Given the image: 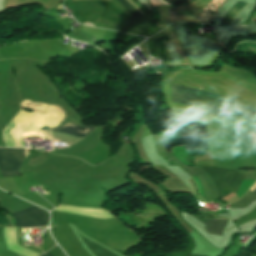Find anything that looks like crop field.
<instances>
[{"mask_svg": "<svg viewBox=\"0 0 256 256\" xmlns=\"http://www.w3.org/2000/svg\"><path fill=\"white\" fill-rule=\"evenodd\" d=\"M247 171H232L227 170L223 182L219 188V197H224L223 191L229 190L236 193L237 189L241 185Z\"/></svg>", "mask_w": 256, "mask_h": 256, "instance_id": "f4fd0767", "label": "crop field"}, {"mask_svg": "<svg viewBox=\"0 0 256 256\" xmlns=\"http://www.w3.org/2000/svg\"><path fill=\"white\" fill-rule=\"evenodd\" d=\"M247 3L238 1L235 3L226 13L222 23L219 26L223 25H231L236 15L239 13V11L246 5Z\"/></svg>", "mask_w": 256, "mask_h": 256, "instance_id": "dd49c442", "label": "crop field"}, {"mask_svg": "<svg viewBox=\"0 0 256 256\" xmlns=\"http://www.w3.org/2000/svg\"><path fill=\"white\" fill-rule=\"evenodd\" d=\"M49 130H54L58 132L68 133L74 136H78L83 138L90 131L93 130L94 127H82L79 125H74L70 122L62 120L56 117L49 125ZM38 133H42L48 136L49 139H53L54 141L66 145H72L81 138H77L68 134L57 133L53 131H37Z\"/></svg>", "mask_w": 256, "mask_h": 256, "instance_id": "ac0d7876", "label": "crop field"}, {"mask_svg": "<svg viewBox=\"0 0 256 256\" xmlns=\"http://www.w3.org/2000/svg\"><path fill=\"white\" fill-rule=\"evenodd\" d=\"M26 156H28L27 149ZM24 149L0 148V171L3 177L18 176L19 167L26 159Z\"/></svg>", "mask_w": 256, "mask_h": 256, "instance_id": "34b2d1b8", "label": "crop field"}, {"mask_svg": "<svg viewBox=\"0 0 256 256\" xmlns=\"http://www.w3.org/2000/svg\"><path fill=\"white\" fill-rule=\"evenodd\" d=\"M226 222L227 220H208L206 231L216 235H222V230Z\"/></svg>", "mask_w": 256, "mask_h": 256, "instance_id": "e52e79f7", "label": "crop field"}, {"mask_svg": "<svg viewBox=\"0 0 256 256\" xmlns=\"http://www.w3.org/2000/svg\"><path fill=\"white\" fill-rule=\"evenodd\" d=\"M131 16H141L136 8L128 0H117Z\"/></svg>", "mask_w": 256, "mask_h": 256, "instance_id": "5a996713", "label": "crop field"}, {"mask_svg": "<svg viewBox=\"0 0 256 256\" xmlns=\"http://www.w3.org/2000/svg\"><path fill=\"white\" fill-rule=\"evenodd\" d=\"M202 168L212 178L216 187H218L225 170L216 169V168H206V167H202Z\"/></svg>", "mask_w": 256, "mask_h": 256, "instance_id": "d8731c3e", "label": "crop field"}, {"mask_svg": "<svg viewBox=\"0 0 256 256\" xmlns=\"http://www.w3.org/2000/svg\"><path fill=\"white\" fill-rule=\"evenodd\" d=\"M18 227H41L46 224L45 214L42 210L32 206L12 214Z\"/></svg>", "mask_w": 256, "mask_h": 256, "instance_id": "412701ff", "label": "crop field"}, {"mask_svg": "<svg viewBox=\"0 0 256 256\" xmlns=\"http://www.w3.org/2000/svg\"><path fill=\"white\" fill-rule=\"evenodd\" d=\"M161 5H175L188 3L191 0H159Z\"/></svg>", "mask_w": 256, "mask_h": 256, "instance_id": "3316defc", "label": "crop field"}, {"mask_svg": "<svg viewBox=\"0 0 256 256\" xmlns=\"http://www.w3.org/2000/svg\"><path fill=\"white\" fill-rule=\"evenodd\" d=\"M43 256H51V255L47 253V254H45V255H43Z\"/></svg>", "mask_w": 256, "mask_h": 256, "instance_id": "d1516ede", "label": "crop field"}, {"mask_svg": "<svg viewBox=\"0 0 256 256\" xmlns=\"http://www.w3.org/2000/svg\"><path fill=\"white\" fill-rule=\"evenodd\" d=\"M168 98L211 109L212 112L256 127L255 107L224 96L168 83Z\"/></svg>", "mask_w": 256, "mask_h": 256, "instance_id": "8a807250", "label": "crop field"}, {"mask_svg": "<svg viewBox=\"0 0 256 256\" xmlns=\"http://www.w3.org/2000/svg\"><path fill=\"white\" fill-rule=\"evenodd\" d=\"M256 183V182H255ZM256 188V184L254 185V187L250 190V191H252L253 192V190ZM253 193H255L256 194V189H255V191L253 192Z\"/></svg>", "mask_w": 256, "mask_h": 256, "instance_id": "28ad6ade", "label": "crop field"}]
</instances>
